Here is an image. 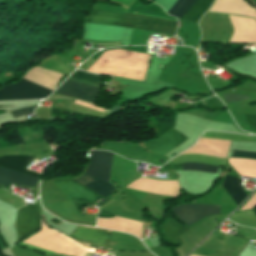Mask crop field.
<instances>
[{"label": "crop field", "mask_w": 256, "mask_h": 256, "mask_svg": "<svg viewBox=\"0 0 256 256\" xmlns=\"http://www.w3.org/2000/svg\"><path fill=\"white\" fill-rule=\"evenodd\" d=\"M112 156L113 154L109 152L91 151L90 165L86 174L107 182ZM87 175H84L75 180L97 196L106 197L114 190L108 183ZM76 181L66 180L52 182L57 185L70 198L90 203H94L99 198L84 187H82Z\"/></svg>", "instance_id": "1"}, {"label": "crop field", "mask_w": 256, "mask_h": 256, "mask_svg": "<svg viewBox=\"0 0 256 256\" xmlns=\"http://www.w3.org/2000/svg\"><path fill=\"white\" fill-rule=\"evenodd\" d=\"M87 22L175 34L177 22L118 12L94 10Z\"/></svg>", "instance_id": "2"}, {"label": "crop field", "mask_w": 256, "mask_h": 256, "mask_svg": "<svg viewBox=\"0 0 256 256\" xmlns=\"http://www.w3.org/2000/svg\"><path fill=\"white\" fill-rule=\"evenodd\" d=\"M52 90L22 78L18 83L0 89V99H40Z\"/></svg>", "instance_id": "3"}, {"label": "crop field", "mask_w": 256, "mask_h": 256, "mask_svg": "<svg viewBox=\"0 0 256 256\" xmlns=\"http://www.w3.org/2000/svg\"><path fill=\"white\" fill-rule=\"evenodd\" d=\"M212 1L213 0H203V2L202 0H177L167 13L188 20L190 15L202 2L189 18V21L197 23L201 16L206 12Z\"/></svg>", "instance_id": "4"}, {"label": "crop field", "mask_w": 256, "mask_h": 256, "mask_svg": "<svg viewBox=\"0 0 256 256\" xmlns=\"http://www.w3.org/2000/svg\"><path fill=\"white\" fill-rule=\"evenodd\" d=\"M172 211L189 226L203 217L220 214L219 206L200 204L178 205L173 207Z\"/></svg>", "instance_id": "5"}, {"label": "crop field", "mask_w": 256, "mask_h": 256, "mask_svg": "<svg viewBox=\"0 0 256 256\" xmlns=\"http://www.w3.org/2000/svg\"><path fill=\"white\" fill-rule=\"evenodd\" d=\"M111 232L112 231L102 230L98 228L79 226L70 237L76 239L80 244L86 247H108V245L110 244L109 239L111 236Z\"/></svg>", "instance_id": "6"}, {"label": "crop field", "mask_w": 256, "mask_h": 256, "mask_svg": "<svg viewBox=\"0 0 256 256\" xmlns=\"http://www.w3.org/2000/svg\"><path fill=\"white\" fill-rule=\"evenodd\" d=\"M234 31L229 43H256V22L253 19L228 15Z\"/></svg>", "instance_id": "7"}, {"label": "crop field", "mask_w": 256, "mask_h": 256, "mask_svg": "<svg viewBox=\"0 0 256 256\" xmlns=\"http://www.w3.org/2000/svg\"><path fill=\"white\" fill-rule=\"evenodd\" d=\"M40 228L39 208L26 206L18 210L17 230L19 240L37 231Z\"/></svg>", "instance_id": "8"}, {"label": "crop field", "mask_w": 256, "mask_h": 256, "mask_svg": "<svg viewBox=\"0 0 256 256\" xmlns=\"http://www.w3.org/2000/svg\"><path fill=\"white\" fill-rule=\"evenodd\" d=\"M55 93L92 103L98 88L66 79Z\"/></svg>", "instance_id": "9"}, {"label": "crop field", "mask_w": 256, "mask_h": 256, "mask_svg": "<svg viewBox=\"0 0 256 256\" xmlns=\"http://www.w3.org/2000/svg\"><path fill=\"white\" fill-rule=\"evenodd\" d=\"M187 138L177 130L173 129L165 134L159 136L157 139L143 143L146 149L156 153H167L182 142L186 141Z\"/></svg>", "instance_id": "10"}, {"label": "crop field", "mask_w": 256, "mask_h": 256, "mask_svg": "<svg viewBox=\"0 0 256 256\" xmlns=\"http://www.w3.org/2000/svg\"><path fill=\"white\" fill-rule=\"evenodd\" d=\"M210 11L228 14H238L253 17L256 20V11L243 0H215Z\"/></svg>", "instance_id": "11"}, {"label": "crop field", "mask_w": 256, "mask_h": 256, "mask_svg": "<svg viewBox=\"0 0 256 256\" xmlns=\"http://www.w3.org/2000/svg\"><path fill=\"white\" fill-rule=\"evenodd\" d=\"M32 159L33 158L31 157L21 156V155L2 156L0 157V166L11 169V170H15L27 175L38 177L39 175L38 173L33 171H27L24 169Z\"/></svg>", "instance_id": "12"}, {"label": "crop field", "mask_w": 256, "mask_h": 256, "mask_svg": "<svg viewBox=\"0 0 256 256\" xmlns=\"http://www.w3.org/2000/svg\"><path fill=\"white\" fill-rule=\"evenodd\" d=\"M38 179L28 177L16 172L0 168V184L9 186L11 184L21 186H35Z\"/></svg>", "instance_id": "13"}, {"label": "crop field", "mask_w": 256, "mask_h": 256, "mask_svg": "<svg viewBox=\"0 0 256 256\" xmlns=\"http://www.w3.org/2000/svg\"><path fill=\"white\" fill-rule=\"evenodd\" d=\"M102 145L134 157L147 158L149 154L142 148V146L131 143H113L105 141Z\"/></svg>", "instance_id": "14"}, {"label": "crop field", "mask_w": 256, "mask_h": 256, "mask_svg": "<svg viewBox=\"0 0 256 256\" xmlns=\"http://www.w3.org/2000/svg\"><path fill=\"white\" fill-rule=\"evenodd\" d=\"M222 186L233 198L237 205L247 196L238 179L234 177L226 175Z\"/></svg>", "instance_id": "15"}, {"label": "crop field", "mask_w": 256, "mask_h": 256, "mask_svg": "<svg viewBox=\"0 0 256 256\" xmlns=\"http://www.w3.org/2000/svg\"><path fill=\"white\" fill-rule=\"evenodd\" d=\"M69 79H73V80L80 81V82L97 86V87L100 84V76L77 71V70L69 77Z\"/></svg>", "instance_id": "16"}, {"label": "crop field", "mask_w": 256, "mask_h": 256, "mask_svg": "<svg viewBox=\"0 0 256 256\" xmlns=\"http://www.w3.org/2000/svg\"><path fill=\"white\" fill-rule=\"evenodd\" d=\"M183 170H200V171H205L209 173H217V170L219 167H213V166H207V165H202V164H197V163H183L182 164Z\"/></svg>", "instance_id": "17"}, {"label": "crop field", "mask_w": 256, "mask_h": 256, "mask_svg": "<svg viewBox=\"0 0 256 256\" xmlns=\"http://www.w3.org/2000/svg\"><path fill=\"white\" fill-rule=\"evenodd\" d=\"M226 103L249 99V96L226 93L222 94Z\"/></svg>", "instance_id": "18"}, {"label": "crop field", "mask_w": 256, "mask_h": 256, "mask_svg": "<svg viewBox=\"0 0 256 256\" xmlns=\"http://www.w3.org/2000/svg\"><path fill=\"white\" fill-rule=\"evenodd\" d=\"M36 106L33 107H27V108H22V109H18V110H14L11 111V115L13 116V118L18 117L20 115H24V114H31L33 113V110L35 109Z\"/></svg>", "instance_id": "19"}, {"label": "crop field", "mask_w": 256, "mask_h": 256, "mask_svg": "<svg viewBox=\"0 0 256 256\" xmlns=\"http://www.w3.org/2000/svg\"><path fill=\"white\" fill-rule=\"evenodd\" d=\"M232 156H235V157H248V158H255L256 159V153L244 152V151L232 150Z\"/></svg>", "instance_id": "20"}, {"label": "crop field", "mask_w": 256, "mask_h": 256, "mask_svg": "<svg viewBox=\"0 0 256 256\" xmlns=\"http://www.w3.org/2000/svg\"><path fill=\"white\" fill-rule=\"evenodd\" d=\"M246 116L248 127L250 129L256 130V116Z\"/></svg>", "instance_id": "21"}, {"label": "crop field", "mask_w": 256, "mask_h": 256, "mask_svg": "<svg viewBox=\"0 0 256 256\" xmlns=\"http://www.w3.org/2000/svg\"><path fill=\"white\" fill-rule=\"evenodd\" d=\"M113 44H119V43H113Z\"/></svg>", "instance_id": "22"}]
</instances>
